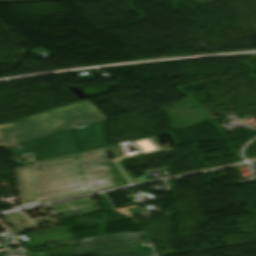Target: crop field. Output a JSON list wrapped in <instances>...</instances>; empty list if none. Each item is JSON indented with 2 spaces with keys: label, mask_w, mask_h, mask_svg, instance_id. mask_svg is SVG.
Returning <instances> with one entry per match:
<instances>
[{
  "label": "crop field",
  "mask_w": 256,
  "mask_h": 256,
  "mask_svg": "<svg viewBox=\"0 0 256 256\" xmlns=\"http://www.w3.org/2000/svg\"><path fill=\"white\" fill-rule=\"evenodd\" d=\"M76 119L72 128L106 119L87 100L0 125V148L70 129L65 122Z\"/></svg>",
  "instance_id": "crop-field-1"
},
{
  "label": "crop field",
  "mask_w": 256,
  "mask_h": 256,
  "mask_svg": "<svg viewBox=\"0 0 256 256\" xmlns=\"http://www.w3.org/2000/svg\"><path fill=\"white\" fill-rule=\"evenodd\" d=\"M104 121L18 144L21 147L19 149L13 146L7 147V149L16 157L30 152L34 157L41 160L76 153L79 152V148L72 133L73 130L82 148L81 151L105 146L107 145V138Z\"/></svg>",
  "instance_id": "crop-field-2"
},
{
  "label": "crop field",
  "mask_w": 256,
  "mask_h": 256,
  "mask_svg": "<svg viewBox=\"0 0 256 256\" xmlns=\"http://www.w3.org/2000/svg\"><path fill=\"white\" fill-rule=\"evenodd\" d=\"M78 154L45 160L35 165L39 199L48 200L86 190L77 161ZM38 182H41L40 186Z\"/></svg>",
  "instance_id": "crop-field-3"
},
{
  "label": "crop field",
  "mask_w": 256,
  "mask_h": 256,
  "mask_svg": "<svg viewBox=\"0 0 256 256\" xmlns=\"http://www.w3.org/2000/svg\"><path fill=\"white\" fill-rule=\"evenodd\" d=\"M145 236V232H126L102 235L79 240L74 256H154V252L139 253L135 241Z\"/></svg>",
  "instance_id": "crop-field-4"
},
{
  "label": "crop field",
  "mask_w": 256,
  "mask_h": 256,
  "mask_svg": "<svg viewBox=\"0 0 256 256\" xmlns=\"http://www.w3.org/2000/svg\"><path fill=\"white\" fill-rule=\"evenodd\" d=\"M79 161L89 190L114 186L103 149L82 153L79 155Z\"/></svg>",
  "instance_id": "crop-field-5"
},
{
  "label": "crop field",
  "mask_w": 256,
  "mask_h": 256,
  "mask_svg": "<svg viewBox=\"0 0 256 256\" xmlns=\"http://www.w3.org/2000/svg\"><path fill=\"white\" fill-rule=\"evenodd\" d=\"M31 167L29 164L15 168L21 203L36 200Z\"/></svg>",
  "instance_id": "crop-field-6"
},
{
  "label": "crop field",
  "mask_w": 256,
  "mask_h": 256,
  "mask_svg": "<svg viewBox=\"0 0 256 256\" xmlns=\"http://www.w3.org/2000/svg\"><path fill=\"white\" fill-rule=\"evenodd\" d=\"M27 1H51V0H0V3H3V2H27Z\"/></svg>",
  "instance_id": "crop-field-7"
}]
</instances>
